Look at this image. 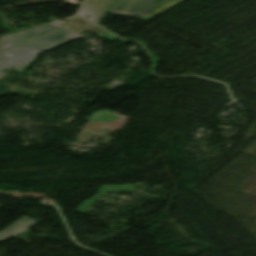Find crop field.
Returning <instances> with one entry per match:
<instances>
[{
  "label": "crop field",
  "instance_id": "crop-field-1",
  "mask_svg": "<svg viewBox=\"0 0 256 256\" xmlns=\"http://www.w3.org/2000/svg\"><path fill=\"white\" fill-rule=\"evenodd\" d=\"M71 34L72 33L70 31L61 29L1 54L11 59L0 65V77L4 76V70L13 68L20 71L24 70L40 52L71 41Z\"/></svg>",
  "mask_w": 256,
  "mask_h": 256
},
{
  "label": "crop field",
  "instance_id": "crop-field-2",
  "mask_svg": "<svg viewBox=\"0 0 256 256\" xmlns=\"http://www.w3.org/2000/svg\"><path fill=\"white\" fill-rule=\"evenodd\" d=\"M184 0H118L110 13L132 17L139 15L147 20Z\"/></svg>",
  "mask_w": 256,
  "mask_h": 256
},
{
  "label": "crop field",
  "instance_id": "crop-field-3",
  "mask_svg": "<svg viewBox=\"0 0 256 256\" xmlns=\"http://www.w3.org/2000/svg\"><path fill=\"white\" fill-rule=\"evenodd\" d=\"M59 29L57 26L54 24L50 23L47 25H43L40 27L28 29L25 31L17 32L14 34L6 35L1 37V42H0V53L16 46L19 45L23 42H26L28 40H31L33 38L39 37L45 33H48L50 31ZM7 60L6 58L0 56V63L4 62Z\"/></svg>",
  "mask_w": 256,
  "mask_h": 256
},
{
  "label": "crop field",
  "instance_id": "crop-field-4",
  "mask_svg": "<svg viewBox=\"0 0 256 256\" xmlns=\"http://www.w3.org/2000/svg\"><path fill=\"white\" fill-rule=\"evenodd\" d=\"M113 1L114 0H85L78 15L82 17H84V15L90 16V19L84 18L97 25Z\"/></svg>",
  "mask_w": 256,
  "mask_h": 256
},
{
  "label": "crop field",
  "instance_id": "crop-field-5",
  "mask_svg": "<svg viewBox=\"0 0 256 256\" xmlns=\"http://www.w3.org/2000/svg\"><path fill=\"white\" fill-rule=\"evenodd\" d=\"M36 221L28 219L26 217L20 219L19 221L13 223L8 228L0 232V241L5 240L9 237L17 235L34 225Z\"/></svg>",
  "mask_w": 256,
  "mask_h": 256
},
{
  "label": "crop field",
  "instance_id": "crop-field-6",
  "mask_svg": "<svg viewBox=\"0 0 256 256\" xmlns=\"http://www.w3.org/2000/svg\"><path fill=\"white\" fill-rule=\"evenodd\" d=\"M70 30H72V31H74V32H76V33H81V32H96V33H98V34H100V35H102V36H105V37H107V38H109V39H111V40L115 37V36H113V35H111V34L105 32V31H103V30H101V29H99V28H97V27L74 28V29H70Z\"/></svg>",
  "mask_w": 256,
  "mask_h": 256
},
{
  "label": "crop field",
  "instance_id": "crop-field-7",
  "mask_svg": "<svg viewBox=\"0 0 256 256\" xmlns=\"http://www.w3.org/2000/svg\"><path fill=\"white\" fill-rule=\"evenodd\" d=\"M65 21L69 22V23H67L68 26H66V27L93 25L79 17H74L72 19H68Z\"/></svg>",
  "mask_w": 256,
  "mask_h": 256
}]
</instances>
